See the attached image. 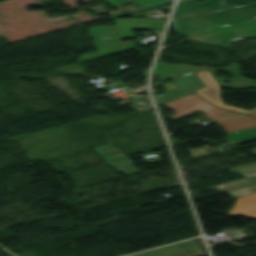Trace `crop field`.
<instances>
[{
	"mask_svg": "<svg viewBox=\"0 0 256 256\" xmlns=\"http://www.w3.org/2000/svg\"><path fill=\"white\" fill-rule=\"evenodd\" d=\"M244 179H245L244 182L221 188V190L227 192V191H231V190H235V189H239V188H243V187H247V186L256 184V176H252V177H248V178H244Z\"/></svg>",
	"mask_w": 256,
	"mask_h": 256,
	"instance_id": "obj_17",
	"label": "crop field"
},
{
	"mask_svg": "<svg viewBox=\"0 0 256 256\" xmlns=\"http://www.w3.org/2000/svg\"><path fill=\"white\" fill-rule=\"evenodd\" d=\"M236 171L244 177L256 175V164L248 167L236 169Z\"/></svg>",
	"mask_w": 256,
	"mask_h": 256,
	"instance_id": "obj_19",
	"label": "crop field"
},
{
	"mask_svg": "<svg viewBox=\"0 0 256 256\" xmlns=\"http://www.w3.org/2000/svg\"><path fill=\"white\" fill-rule=\"evenodd\" d=\"M242 37H244L243 35L242 36H238L237 38H242ZM237 38H235V39H237Z\"/></svg>",
	"mask_w": 256,
	"mask_h": 256,
	"instance_id": "obj_26",
	"label": "crop field"
},
{
	"mask_svg": "<svg viewBox=\"0 0 256 256\" xmlns=\"http://www.w3.org/2000/svg\"><path fill=\"white\" fill-rule=\"evenodd\" d=\"M111 6L127 5L134 3L136 8L164 0H106Z\"/></svg>",
	"mask_w": 256,
	"mask_h": 256,
	"instance_id": "obj_14",
	"label": "crop field"
},
{
	"mask_svg": "<svg viewBox=\"0 0 256 256\" xmlns=\"http://www.w3.org/2000/svg\"><path fill=\"white\" fill-rule=\"evenodd\" d=\"M178 1H182V0H178ZM178 1H177V2H178Z\"/></svg>",
	"mask_w": 256,
	"mask_h": 256,
	"instance_id": "obj_27",
	"label": "crop field"
},
{
	"mask_svg": "<svg viewBox=\"0 0 256 256\" xmlns=\"http://www.w3.org/2000/svg\"><path fill=\"white\" fill-rule=\"evenodd\" d=\"M226 213L231 216L244 215L256 218V193L237 198L235 206Z\"/></svg>",
	"mask_w": 256,
	"mask_h": 256,
	"instance_id": "obj_10",
	"label": "crop field"
},
{
	"mask_svg": "<svg viewBox=\"0 0 256 256\" xmlns=\"http://www.w3.org/2000/svg\"><path fill=\"white\" fill-rule=\"evenodd\" d=\"M220 5L221 0H205V2H199V0H187L176 4L173 15L178 17L205 11L217 10L220 9Z\"/></svg>",
	"mask_w": 256,
	"mask_h": 256,
	"instance_id": "obj_6",
	"label": "crop field"
},
{
	"mask_svg": "<svg viewBox=\"0 0 256 256\" xmlns=\"http://www.w3.org/2000/svg\"><path fill=\"white\" fill-rule=\"evenodd\" d=\"M237 35H242L239 31L230 32V33H223L214 36L204 37V41L209 44H216L222 47H229L231 46L230 41L233 40L234 37Z\"/></svg>",
	"mask_w": 256,
	"mask_h": 256,
	"instance_id": "obj_12",
	"label": "crop field"
},
{
	"mask_svg": "<svg viewBox=\"0 0 256 256\" xmlns=\"http://www.w3.org/2000/svg\"><path fill=\"white\" fill-rule=\"evenodd\" d=\"M194 249L198 250L195 252L200 251L196 247V245L193 243V241L190 240V241H186V242H182V243H178V244H174V245H170V246H166V247H162V248H158V249H154V250H150V251H146V252H142V253H138L130 256H157V255H164V254H170V253H176V252H182V251H188V250H194ZM195 252H189V253H183V254H177V255H171V256H186V255L193 254Z\"/></svg>",
	"mask_w": 256,
	"mask_h": 256,
	"instance_id": "obj_9",
	"label": "crop field"
},
{
	"mask_svg": "<svg viewBox=\"0 0 256 256\" xmlns=\"http://www.w3.org/2000/svg\"><path fill=\"white\" fill-rule=\"evenodd\" d=\"M164 105L167 107L169 106L170 109L175 112V115L171 116L175 120L197 110L203 113L205 111V114L211 119L236 116L240 114L237 112L218 108L193 93L178 98Z\"/></svg>",
	"mask_w": 256,
	"mask_h": 256,
	"instance_id": "obj_2",
	"label": "crop field"
},
{
	"mask_svg": "<svg viewBox=\"0 0 256 256\" xmlns=\"http://www.w3.org/2000/svg\"><path fill=\"white\" fill-rule=\"evenodd\" d=\"M177 85L180 87L175 90L165 92L161 95L154 96V101L156 106L174 100L178 97L191 93L199 88L206 86V84L201 80V78L196 74H190L173 79ZM191 87V88H188Z\"/></svg>",
	"mask_w": 256,
	"mask_h": 256,
	"instance_id": "obj_3",
	"label": "crop field"
},
{
	"mask_svg": "<svg viewBox=\"0 0 256 256\" xmlns=\"http://www.w3.org/2000/svg\"><path fill=\"white\" fill-rule=\"evenodd\" d=\"M227 134L229 137V143L256 139V127L233 131Z\"/></svg>",
	"mask_w": 256,
	"mask_h": 256,
	"instance_id": "obj_13",
	"label": "crop field"
},
{
	"mask_svg": "<svg viewBox=\"0 0 256 256\" xmlns=\"http://www.w3.org/2000/svg\"><path fill=\"white\" fill-rule=\"evenodd\" d=\"M250 115H254V116H256V110L255 111H253V112H251V113H249Z\"/></svg>",
	"mask_w": 256,
	"mask_h": 256,
	"instance_id": "obj_24",
	"label": "crop field"
},
{
	"mask_svg": "<svg viewBox=\"0 0 256 256\" xmlns=\"http://www.w3.org/2000/svg\"><path fill=\"white\" fill-rule=\"evenodd\" d=\"M226 132L256 126V118L243 115L235 119L214 121Z\"/></svg>",
	"mask_w": 256,
	"mask_h": 256,
	"instance_id": "obj_11",
	"label": "crop field"
},
{
	"mask_svg": "<svg viewBox=\"0 0 256 256\" xmlns=\"http://www.w3.org/2000/svg\"><path fill=\"white\" fill-rule=\"evenodd\" d=\"M253 192H256V185L251 186V187H247V188H243V189H239V190H235V191H231V192H227V193L234 196V197H238V196L250 194V193H253Z\"/></svg>",
	"mask_w": 256,
	"mask_h": 256,
	"instance_id": "obj_18",
	"label": "crop field"
},
{
	"mask_svg": "<svg viewBox=\"0 0 256 256\" xmlns=\"http://www.w3.org/2000/svg\"><path fill=\"white\" fill-rule=\"evenodd\" d=\"M229 27L232 31L246 29V28H256V18L232 23V24H229Z\"/></svg>",
	"mask_w": 256,
	"mask_h": 256,
	"instance_id": "obj_16",
	"label": "crop field"
},
{
	"mask_svg": "<svg viewBox=\"0 0 256 256\" xmlns=\"http://www.w3.org/2000/svg\"><path fill=\"white\" fill-rule=\"evenodd\" d=\"M197 74L202 78V80L208 85L202 89H199L195 91L199 95L203 96L204 98L210 100L211 102L215 103L216 105L224 108H230L233 110L245 112L247 110L232 107V106H226L221 103L220 97H219V86L216 84V82L212 79V77L209 75L207 70L197 72Z\"/></svg>",
	"mask_w": 256,
	"mask_h": 256,
	"instance_id": "obj_8",
	"label": "crop field"
},
{
	"mask_svg": "<svg viewBox=\"0 0 256 256\" xmlns=\"http://www.w3.org/2000/svg\"><path fill=\"white\" fill-rule=\"evenodd\" d=\"M256 16V3L230 6L218 11L206 12L173 18L178 35H187L197 31L229 24Z\"/></svg>",
	"mask_w": 256,
	"mask_h": 256,
	"instance_id": "obj_1",
	"label": "crop field"
},
{
	"mask_svg": "<svg viewBox=\"0 0 256 256\" xmlns=\"http://www.w3.org/2000/svg\"><path fill=\"white\" fill-rule=\"evenodd\" d=\"M222 69L228 71L234 79L229 80V79H222L214 76L216 70ZM240 68L238 67L237 64L233 63L229 66L222 67V68H213V69H208V72L211 74L213 79L217 82L219 86L223 87H229V88H235V89H242V88H249V87H256V83L242 78L238 75ZM230 81V83L224 84L223 82Z\"/></svg>",
	"mask_w": 256,
	"mask_h": 256,
	"instance_id": "obj_7",
	"label": "crop field"
},
{
	"mask_svg": "<svg viewBox=\"0 0 256 256\" xmlns=\"http://www.w3.org/2000/svg\"><path fill=\"white\" fill-rule=\"evenodd\" d=\"M93 148L118 172L123 171L127 176L140 173V171L130 164L132 161L110 143L95 146Z\"/></svg>",
	"mask_w": 256,
	"mask_h": 256,
	"instance_id": "obj_4",
	"label": "crop field"
},
{
	"mask_svg": "<svg viewBox=\"0 0 256 256\" xmlns=\"http://www.w3.org/2000/svg\"><path fill=\"white\" fill-rule=\"evenodd\" d=\"M208 68V66H199V67H194L186 64H168V63H162V62H157L154 67V73H156L162 81L194 73L197 71L205 70Z\"/></svg>",
	"mask_w": 256,
	"mask_h": 256,
	"instance_id": "obj_5",
	"label": "crop field"
},
{
	"mask_svg": "<svg viewBox=\"0 0 256 256\" xmlns=\"http://www.w3.org/2000/svg\"><path fill=\"white\" fill-rule=\"evenodd\" d=\"M250 2H256V0H223L221 7L230 6V5L239 4V3H250Z\"/></svg>",
	"mask_w": 256,
	"mask_h": 256,
	"instance_id": "obj_20",
	"label": "crop field"
},
{
	"mask_svg": "<svg viewBox=\"0 0 256 256\" xmlns=\"http://www.w3.org/2000/svg\"><path fill=\"white\" fill-rule=\"evenodd\" d=\"M240 32H241L242 34H244L245 36L256 35V29L241 30Z\"/></svg>",
	"mask_w": 256,
	"mask_h": 256,
	"instance_id": "obj_23",
	"label": "crop field"
},
{
	"mask_svg": "<svg viewBox=\"0 0 256 256\" xmlns=\"http://www.w3.org/2000/svg\"><path fill=\"white\" fill-rule=\"evenodd\" d=\"M173 2H174V1H172V2H167V3H163V4H159V5H155V6L148 7V8H144V9H140V10H137V11H134V12H138V11H142V10H146V9H150V8H154V7H158V6H162V5H166V4H171V3H173ZM134 12H130V13H134ZM130 13L121 14V15H117V16L110 17V18L112 19V18H116V17H119V16H123V15L130 14Z\"/></svg>",
	"mask_w": 256,
	"mask_h": 256,
	"instance_id": "obj_22",
	"label": "crop field"
},
{
	"mask_svg": "<svg viewBox=\"0 0 256 256\" xmlns=\"http://www.w3.org/2000/svg\"><path fill=\"white\" fill-rule=\"evenodd\" d=\"M229 31H230V29H229L228 25H225V26H221V27H217V28L197 32V33H194V34H191V35H187V37L190 38V39H196V38H199V37H204V36H209V35H213V34L229 32Z\"/></svg>",
	"mask_w": 256,
	"mask_h": 256,
	"instance_id": "obj_15",
	"label": "crop field"
},
{
	"mask_svg": "<svg viewBox=\"0 0 256 256\" xmlns=\"http://www.w3.org/2000/svg\"><path fill=\"white\" fill-rule=\"evenodd\" d=\"M196 40L201 41V42H204V41L202 40V38H200V39H196Z\"/></svg>",
	"mask_w": 256,
	"mask_h": 256,
	"instance_id": "obj_25",
	"label": "crop field"
},
{
	"mask_svg": "<svg viewBox=\"0 0 256 256\" xmlns=\"http://www.w3.org/2000/svg\"><path fill=\"white\" fill-rule=\"evenodd\" d=\"M189 152L191 153L193 158L208 154L203 148L195 149V150L190 149Z\"/></svg>",
	"mask_w": 256,
	"mask_h": 256,
	"instance_id": "obj_21",
	"label": "crop field"
}]
</instances>
